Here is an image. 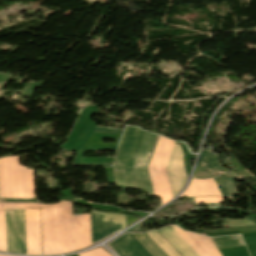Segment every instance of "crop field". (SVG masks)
I'll return each mask as SVG.
<instances>
[{"mask_svg": "<svg viewBox=\"0 0 256 256\" xmlns=\"http://www.w3.org/2000/svg\"><path fill=\"white\" fill-rule=\"evenodd\" d=\"M5 208L39 204L5 203ZM7 252L24 254V209H5ZM25 254L41 255L39 209H25Z\"/></svg>", "mask_w": 256, "mask_h": 256, "instance_id": "obj_1", "label": "crop field"}, {"mask_svg": "<svg viewBox=\"0 0 256 256\" xmlns=\"http://www.w3.org/2000/svg\"><path fill=\"white\" fill-rule=\"evenodd\" d=\"M34 197L33 170L19 166L18 156L0 159V198Z\"/></svg>", "mask_w": 256, "mask_h": 256, "instance_id": "obj_2", "label": "crop field"}, {"mask_svg": "<svg viewBox=\"0 0 256 256\" xmlns=\"http://www.w3.org/2000/svg\"><path fill=\"white\" fill-rule=\"evenodd\" d=\"M145 133L139 128H127L113 166L116 185L137 187L133 166Z\"/></svg>", "mask_w": 256, "mask_h": 256, "instance_id": "obj_3", "label": "crop field"}, {"mask_svg": "<svg viewBox=\"0 0 256 256\" xmlns=\"http://www.w3.org/2000/svg\"><path fill=\"white\" fill-rule=\"evenodd\" d=\"M174 142L159 137L148 167L154 196L160 197L163 205L171 200L165 167Z\"/></svg>", "mask_w": 256, "mask_h": 256, "instance_id": "obj_4", "label": "crop field"}, {"mask_svg": "<svg viewBox=\"0 0 256 256\" xmlns=\"http://www.w3.org/2000/svg\"><path fill=\"white\" fill-rule=\"evenodd\" d=\"M93 243L125 228V216L91 211Z\"/></svg>", "mask_w": 256, "mask_h": 256, "instance_id": "obj_5", "label": "crop field"}, {"mask_svg": "<svg viewBox=\"0 0 256 256\" xmlns=\"http://www.w3.org/2000/svg\"><path fill=\"white\" fill-rule=\"evenodd\" d=\"M157 135L146 133L137 161L134 166L138 187L140 190L148 191L151 194L148 175L146 171L151 153L153 151Z\"/></svg>", "mask_w": 256, "mask_h": 256, "instance_id": "obj_6", "label": "crop field"}, {"mask_svg": "<svg viewBox=\"0 0 256 256\" xmlns=\"http://www.w3.org/2000/svg\"><path fill=\"white\" fill-rule=\"evenodd\" d=\"M171 197L174 198L183 187L187 177L183 166V155L179 145L175 144L166 167Z\"/></svg>", "mask_w": 256, "mask_h": 256, "instance_id": "obj_7", "label": "crop field"}, {"mask_svg": "<svg viewBox=\"0 0 256 256\" xmlns=\"http://www.w3.org/2000/svg\"><path fill=\"white\" fill-rule=\"evenodd\" d=\"M110 246L120 256H150L147 251L130 235L124 234Z\"/></svg>", "mask_w": 256, "mask_h": 256, "instance_id": "obj_8", "label": "crop field"}, {"mask_svg": "<svg viewBox=\"0 0 256 256\" xmlns=\"http://www.w3.org/2000/svg\"><path fill=\"white\" fill-rule=\"evenodd\" d=\"M159 231L179 250L183 256H197L196 253L170 227H166Z\"/></svg>", "mask_w": 256, "mask_h": 256, "instance_id": "obj_9", "label": "crop field"}, {"mask_svg": "<svg viewBox=\"0 0 256 256\" xmlns=\"http://www.w3.org/2000/svg\"><path fill=\"white\" fill-rule=\"evenodd\" d=\"M153 256H167L146 234H133Z\"/></svg>", "mask_w": 256, "mask_h": 256, "instance_id": "obj_10", "label": "crop field"}, {"mask_svg": "<svg viewBox=\"0 0 256 256\" xmlns=\"http://www.w3.org/2000/svg\"><path fill=\"white\" fill-rule=\"evenodd\" d=\"M218 249L244 245L240 236L212 238Z\"/></svg>", "mask_w": 256, "mask_h": 256, "instance_id": "obj_11", "label": "crop field"}, {"mask_svg": "<svg viewBox=\"0 0 256 256\" xmlns=\"http://www.w3.org/2000/svg\"><path fill=\"white\" fill-rule=\"evenodd\" d=\"M159 239L160 241L175 255L180 256L177 251L165 240L163 239L157 231H152ZM148 232L147 234L154 240V242L168 255V256H174L160 241L159 239L152 233Z\"/></svg>", "mask_w": 256, "mask_h": 256, "instance_id": "obj_12", "label": "crop field"}, {"mask_svg": "<svg viewBox=\"0 0 256 256\" xmlns=\"http://www.w3.org/2000/svg\"><path fill=\"white\" fill-rule=\"evenodd\" d=\"M201 155V154H200ZM204 163H206L208 166L220 170V171H228L227 169L220 166L219 161L215 159L213 154L210 152L202 150V155L200 158Z\"/></svg>", "mask_w": 256, "mask_h": 256, "instance_id": "obj_13", "label": "crop field"}, {"mask_svg": "<svg viewBox=\"0 0 256 256\" xmlns=\"http://www.w3.org/2000/svg\"><path fill=\"white\" fill-rule=\"evenodd\" d=\"M187 243L188 245L199 255V256H207L198 246L197 244L181 229L176 226H171Z\"/></svg>", "mask_w": 256, "mask_h": 256, "instance_id": "obj_14", "label": "crop field"}, {"mask_svg": "<svg viewBox=\"0 0 256 256\" xmlns=\"http://www.w3.org/2000/svg\"><path fill=\"white\" fill-rule=\"evenodd\" d=\"M252 224L253 223L250 222L249 220L225 219V223L222 226L241 227V226H247Z\"/></svg>", "mask_w": 256, "mask_h": 256, "instance_id": "obj_15", "label": "crop field"}, {"mask_svg": "<svg viewBox=\"0 0 256 256\" xmlns=\"http://www.w3.org/2000/svg\"><path fill=\"white\" fill-rule=\"evenodd\" d=\"M201 180H194L192 179L188 188L183 192V194L180 197H190L199 186Z\"/></svg>", "mask_w": 256, "mask_h": 256, "instance_id": "obj_16", "label": "crop field"}, {"mask_svg": "<svg viewBox=\"0 0 256 256\" xmlns=\"http://www.w3.org/2000/svg\"><path fill=\"white\" fill-rule=\"evenodd\" d=\"M78 256H109V255L106 254L101 248H98L90 252L78 254Z\"/></svg>", "mask_w": 256, "mask_h": 256, "instance_id": "obj_17", "label": "crop field"}, {"mask_svg": "<svg viewBox=\"0 0 256 256\" xmlns=\"http://www.w3.org/2000/svg\"><path fill=\"white\" fill-rule=\"evenodd\" d=\"M71 204L70 202H64V201H60V203L58 204H54V205H42L41 204V208H51V207H57V206H63V205H69Z\"/></svg>", "mask_w": 256, "mask_h": 256, "instance_id": "obj_18", "label": "crop field"}, {"mask_svg": "<svg viewBox=\"0 0 256 256\" xmlns=\"http://www.w3.org/2000/svg\"><path fill=\"white\" fill-rule=\"evenodd\" d=\"M11 77H12V75H9V76L5 79L4 82H8Z\"/></svg>", "mask_w": 256, "mask_h": 256, "instance_id": "obj_19", "label": "crop field"}, {"mask_svg": "<svg viewBox=\"0 0 256 256\" xmlns=\"http://www.w3.org/2000/svg\"><path fill=\"white\" fill-rule=\"evenodd\" d=\"M0 256H8V255H0Z\"/></svg>", "mask_w": 256, "mask_h": 256, "instance_id": "obj_20", "label": "crop field"}]
</instances>
